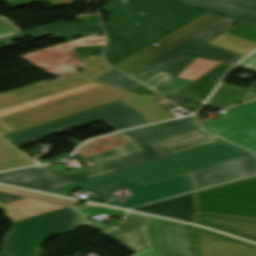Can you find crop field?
I'll return each mask as SVG.
<instances>
[{
    "label": "crop field",
    "instance_id": "crop-field-1",
    "mask_svg": "<svg viewBox=\"0 0 256 256\" xmlns=\"http://www.w3.org/2000/svg\"><path fill=\"white\" fill-rule=\"evenodd\" d=\"M83 65L85 71L53 84L56 88L32 85L0 94V136L134 95L90 81L110 67L102 56Z\"/></svg>",
    "mask_w": 256,
    "mask_h": 256
},
{
    "label": "crop field",
    "instance_id": "crop-field-2",
    "mask_svg": "<svg viewBox=\"0 0 256 256\" xmlns=\"http://www.w3.org/2000/svg\"><path fill=\"white\" fill-rule=\"evenodd\" d=\"M247 154L251 153L220 141L47 192L67 196L77 188L91 191L132 178L148 184Z\"/></svg>",
    "mask_w": 256,
    "mask_h": 256
},
{
    "label": "crop field",
    "instance_id": "crop-field-3",
    "mask_svg": "<svg viewBox=\"0 0 256 256\" xmlns=\"http://www.w3.org/2000/svg\"><path fill=\"white\" fill-rule=\"evenodd\" d=\"M164 156L168 155L151 143L138 147L130 144L87 158L75 153L71 158L90 163L83 169L63 174L52 165H45L1 173L0 182L46 191Z\"/></svg>",
    "mask_w": 256,
    "mask_h": 256
},
{
    "label": "crop field",
    "instance_id": "crop-field-4",
    "mask_svg": "<svg viewBox=\"0 0 256 256\" xmlns=\"http://www.w3.org/2000/svg\"><path fill=\"white\" fill-rule=\"evenodd\" d=\"M238 21L207 13L114 66L143 83Z\"/></svg>",
    "mask_w": 256,
    "mask_h": 256
},
{
    "label": "crop field",
    "instance_id": "crop-field-5",
    "mask_svg": "<svg viewBox=\"0 0 256 256\" xmlns=\"http://www.w3.org/2000/svg\"><path fill=\"white\" fill-rule=\"evenodd\" d=\"M101 121L106 122L117 131L153 123L119 101L4 136V139L16 147L38 138Z\"/></svg>",
    "mask_w": 256,
    "mask_h": 256
},
{
    "label": "crop field",
    "instance_id": "crop-field-6",
    "mask_svg": "<svg viewBox=\"0 0 256 256\" xmlns=\"http://www.w3.org/2000/svg\"><path fill=\"white\" fill-rule=\"evenodd\" d=\"M71 207L13 224L2 253L7 256H41L45 238L76 228Z\"/></svg>",
    "mask_w": 256,
    "mask_h": 256
},
{
    "label": "crop field",
    "instance_id": "crop-field-7",
    "mask_svg": "<svg viewBox=\"0 0 256 256\" xmlns=\"http://www.w3.org/2000/svg\"><path fill=\"white\" fill-rule=\"evenodd\" d=\"M197 211L256 218V176L194 193Z\"/></svg>",
    "mask_w": 256,
    "mask_h": 256
},
{
    "label": "crop field",
    "instance_id": "crop-field-8",
    "mask_svg": "<svg viewBox=\"0 0 256 256\" xmlns=\"http://www.w3.org/2000/svg\"><path fill=\"white\" fill-rule=\"evenodd\" d=\"M102 11L109 16L108 37L132 40L136 52L167 34L121 0H108ZM139 23L137 25L133 23Z\"/></svg>",
    "mask_w": 256,
    "mask_h": 256
},
{
    "label": "crop field",
    "instance_id": "crop-field-9",
    "mask_svg": "<svg viewBox=\"0 0 256 256\" xmlns=\"http://www.w3.org/2000/svg\"><path fill=\"white\" fill-rule=\"evenodd\" d=\"M188 227V224L151 217L143 226L149 251L133 256H193Z\"/></svg>",
    "mask_w": 256,
    "mask_h": 256
},
{
    "label": "crop field",
    "instance_id": "crop-field-10",
    "mask_svg": "<svg viewBox=\"0 0 256 256\" xmlns=\"http://www.w3.org/2000/svg\"><path fill=\"white\" fill-rule=\"evenodd\" d=\"M116 188L126 189L130 192H133L134 194L125 205L112 202L107 203V205L119 206L126 209L140 204L190 192L192 190L188 177L185 174L148 185L132 179L94 190V192L110 200L114 197V195L111 194L115 191Z\"/></svg>",
    "mask_w": 256,
    "mask_h": 256
},
{
    "label": "crop field",
    "instance_id": "crop-field-11",
    "mask_svg": "<svg viewBox=\"0 0 256 256\" xmlns=\"http://www.w3.org/2000/svg\"><path fill=\"white\" fill-rule=\"evenodd\" d=\"M0 192L26 197L8 204L0 202V209L6 214L11 222L78 204V202L72 200L32 193L4 186H0Z\"/></svg>",
    "mask_w": 256,
    "mask_h": 256
},
{
    "label": "crop field",
    "instance_id": "crop-field-12",
    "mask_svg": "<svg viewBox=\"0 0 256 256\" xmlns=\"http://www.w3.org/2000/svg\"><path fill=\"white\" fill-rule=\"evenodd\" d=\"M225 111L224 118L203 123V127L217 137L256 153V124L237 107Z\"/></svg>",
    "mask_w": 256,
    "mask_h": 256
},
{
    "label": "crop field",
    "instance_id": "crop-field-13",
    "mask_svg": "<svg viewBox=\"0 0 256 256\" xmlns=\"http://www.w3.org/2000/svg\"><path fill=\"white\" fill-rule=\"evenodd\" d=\"M189 231L195 256H256V245L198 227Z\"/></svg>",
    "mask_w": 256,
    "mask_h": 256
},
{
    "label": "crop field",
    "instance_id": "crop-field-14",
    "mask_svg": "<svg viewBox=\"0 0 256 256\" xmlns=\"http://www.w3.org/2000/svg\"><path fill=\"white\" fill-rule=\"evenodd\" d=\"M166 32L203 14L165 0H123Z\"/></svg>",
    "mask_w": 256,
    "mask_h": 256
},
{
    "label": "crop field",
    "instance_id": "crop-field-15",
    "mask_svg": "<svg viewBox=\"0 0 256 256\" xmlns=\"http://www.w3.org/2000/svg\"><path fill=\"white\" fill-rule=\"evenodd\" d=\"M193 191L202 187L256 174V155L251 154L238 159L189 172Z\"/></svg>",
    "mask_w": 256,
    "mask_h": 256
},
{
    "label": "crop field",
    "instance_id": "crop-field-16",
    "mask_svg": "<svg viewBox=\"0 0 256 256\" xmlns=\"http://www.w3.org/2000/svg\"><path fill=\"white\" fill-rule=\"evenodd\" d=\"M256 24V0H172Z\"/></svg>",
    "mask_w": 256,
    "mask_h": 256
},
{
    "label": "crop field",
    "instance_id": "crop-field-17",
    "mask_svg": "<svg viewBox=\"0 0 256 256\" xmlns=\"http://www.w3.org/2000/svg\"><path fill=\"white\" fill-rule=\"evenodd\" d=\"M193 223L256 242V219L197 212Z\"/></svg>",
    "mask_w": 256,
    "mask_h": 256
},
{
    "label": "crop field",
    "instance_id": "crop-field-18",
    "mask_svg": "<svg viewBox=\"0 0 256 256\" xmlns=\"http://www.w3.org/2000/svg\"><path fill=\"white\" fill-rule=\"evenodd\" d=\"M149 218V216L145 215L128 213L124 224L107 236L134 253L146 249L148 247L142 226Z\"/></svg>",
    "mask_w": 256,
    "mask_h": 256
},
{
    "label": "crop field",
    "instance_id": "crop-field-19",
    "mask_svg": "<svg viewBox=\"0 0 256 256\" xmlns=\"http://www.w3.org/2000/svg\"><path fill=\"white\" fill-rule=\"evenodd\" d=\"M219 65V64H218ZM232 67V65L221 64L206 74L202 75L189 85L181 89L173 96L204 102L222 76Z\"/></svg>",
    "mask_w": 256,
    "mask_h": 256
},
{
    "label": "crop field",
    "instance_id": "crop-field-20",
    "mask_svg": "<svg viewBox=\"0 0 256 256\" xmlns=\"http://www.w3.org/2000/svg\"><path fill=\"white\" fill-rule=\"evenodd\" d=\"M213 142L216 140L199 128L154 143L173 155Z\"/></svg>",
    "mask_w": 256,
    "mask_h": 256
},
{
    "label": "crop field",
    "instance_id": "crop-field-21",
    "mask_svg": "<svg viewBox=\"0 0 256 256\" xmlns=\"http://www.w3.org/2000/svg\"><path fill=\"white\" fill-rule=\"evenodd\" d=\"M96 20L99 22L98 18H96ZM80 23H81V26H79L75 22H71V23L67 24L66 22L62 21V22L42 26L41 28L46 30L51 35L80 31L77 33L57 35V36L50 37L52 40L64 38L68 42L74 41L75 39L73 37H75V36L86 37V36L101 32V31H96V30H89V31H84V32L81 31L84 29H93V28L102 29L100 22L96 23L95 20H91V21L83 20Z\"/></svg>",
    "mask_w": 256,
    "mask_h": 256
},
{
    "label": "crop field",
    "instance_id": "crop-field-22",
    "mask_svg": "<svg viewBox=\"0 0 256 256\" xmlns=\"http://www.w3.org/2000/svg\"><path fill=\"white\" fill-rule=\"evenodd\" d=\"M73 208L79 214L76 219L75 225L102 230V232L99 233V235H103L106 232H108L109 230H111L121 220H117L115 223H109L107 225H104V224H99V223L92 222V221H86L88 216L94 215L96 213H101V214H109V215L123 218V216L125 214V212L116 210V209H111V208H107V207H86L83 204L73 206Z\"/></svg>",
    "mask_w": 256,
    "mask_h": 256
},
{
    "label": "crop field",
    "instance_id": "crop-field-23",
    "mask_svg": "<svg viewBox=\"0 0 256 256\" xmlns=\"http://www.w3.org/2000/svg\"><path fill=\"white\" fill-rule=\"evenodd\" d=\"M160 96L153 95H134L123 99L126 103L131 105L133 108L152 119L153 121H161L165 119H171L165 111H163L154 100L161 99Z\"/></svg>",
    "mask_w": 256,
    "mask_h": 256
},
{
    "label": "crop field",
    "instance_id": "crop-field-24",
    "mask_svg": "<svg viewBox=\"0 0 256 256\" xmlns=\"http://www.w3.org/2000/svg\"><path fill=\"white\" fill-rule=\"evenodd\" d=\"M194 59L195 57L186 55L143 84L159 93L165 90ZM151 82L156 83V86H150Z\"/></svg>",
    "mask_w": 256,
    "mask_h": 256
},
{
    "label": "crop field",
    "instance_id": "crop-field-25",
    "mask_svg": "<svg viewBox=\"0 0 256 256\" xmlns=\"http://www.w3.org/2000/svg\"><path fill=\"white\" fill-rule=\"evenodd\" d=\"M246 90L247 89L241 87L221 83L214 95L208 101V104L223 108L238 104L242 101Z\"/></svg>",
    "mask_w": 256,
    "mask_h": 256
},
{
    "label": "crop field",
    "instance_id": "crop-field-26",
    "mask_svg": "<svg viewBox=\"0 0 256 256\" xmlns=\"http://www.w3.org/2000/svg\"><path fill=\"white\" fill-rule=\"evenodd\" d=\"M36 164L0 138V171Z\"/></svg>",
    "mask_w": 256,
    "mask_h": 256
},
{
    "label": "crop field",
    "instance_id": "crop-field-27",
    "mask_svg": "<svg viewBox=\"0 0 256 256\" xmlns=\"http://www.w3.org/2000/svg\"><path fill=\"white\" fill-rule=\"evenodd\" d=\"M207 44H211L226 50H230L242 55H247L256 49V43H252L227 34H220Z\"/></svg>",
    "mask_w": 256,
    "mask_h": 256
},
{
    "label": "crop field",
    "instance_id": "crop-field-28",
    "mask_svg": "<svg viewBox=\"0 0 256 256\" xmlns=\"http://www.w3.org/2000/svg\"><path fill=\"white\" fill-rule=\"evenodd\" d=\"M189 55L196 56L199 58H204L208 60H214V61H220V62H225L229 64H235L238 62L240 59H242L245 56L229 52L214 46L210 45H203L197 50L193 51Z\"/></svg>",
    "mask_w": 256,
    "mask_h": 256
},
{
    "label": "crop field",
    "instance_id": "crop-field-29",
    "mask_svg": "<svg viewBox=\"0 0 256 256\" xmlns=\"http://www.w3.org/2000/svg\"><path fill=\"white\" fill-rule=\"evenodd\" d=\"M92 81H96L99 83H103L106 85H110L116 88L124 89V90H132L135 87L141 85L128 76L122 74L114 68H109L97 77L93 78Z\"/></svg>",
    "mask_w": 256,
    "mask_h": 256
},
{
    "label": "crop field",
    "instance_id": "crop-field-30",
    "mask_svg": "<svg viewBox=\"0 0 256 256\" xmlns=\"http://www.w3.org/2000/svg\"><path fill=\"white\" fill-rule=\"evenodd\" d=\"M120 134L123 135L135 146L149 143L153 140H157L163 137H167V135L163 131H161L156 125L129 130L121 132Z\"/></svg>",
    "mask_w": 256,
    "mask_h": 256
},
{
    "label": "crop field",
    "instance_id": "crop-field-31",
    "mask_svg": "<svg viewBox=\"0 0 256 256\" xmlns=\"http://www.w3.org/2000/svg\"><path fill=\"white\" fill-rule=\"evenodd\" d=\"M136 52L131 50V41L108 39L105 52L107 62L116 64Z\"/></svg>",
    "mask_w": 256,
    "mask_h": 256
},
{
    "label": "crop field",
    "instance_id": "crop-field-32",
    "mask_svg": "<svg viewBox=\"0 0 256 256\" xmlns=\"http://www.w3.org/2000/svg\"><path fill=\"white\" fill-rule=\"evenodd\" d=\"M158 126L173 136L184 131L199 128V123L195 117L191 116L181 120L158 124Z\"/></svg>",
    "mask_w": 256,
    "mask_h": 256
},
{
    "label": "crop field",
    "instance_id": "crop-field-33",
    "mask_svg": "<svg viewBox=\"0 0 256 256\" xmlns=\"http://www.w3.org/2000/svg\"><path fill=\"white\" fill-rule=\"evenodd\" d=\"M218 64L220 63L196 58L179 77L194 80Z\"/></svg>",
    "mask_w": 256,
    "mask_h": 256
},
{
    "label": "crop field",
    "instance_id": "crop-field-34",
    "mask_svg": "<svg viewBox=\"0 0 256 256\" xmlns=\"http://www.w3.org/2000/svg\"><path fill=\"white\" fill-rule=\"evenodd\" d=\"M47 35H49L47 32H45L43 29L38 27V28L29 30V31H26V32H23L20 34L0 38V49L15 46L12 42L14 40L22 39V38L29 37V36H32L35 39H39V38L47 36Z\"/></svg>",
    "mask_w": 256,
    "mask_h": 256
},
{
    "label": "crop field",
    "instance_id": "crop-field-35",
    "mask_svg": "<svg viewBox=\"0 0 256 256\" xmlns=\"http://www.w3.org/2000/svg\"><path fill=\"white\" fill-rule=\"evenodd\" d=\"M224 33L256 42V26L250 24L240 22Z\"/></svg>",
    "mask_w": 256,
    "mask_h": 256
},
{
    "label": "crop field",
    "instance_id": "crop-field-36",
    "mask_svg": "<svg viewBox=\"0 0 256 256\" xmlns=\"http://www.w3.org/2000/svg\"><path fill=\"white\" fill-rule=\"evenodd\" d=\"M23 30L12 25V22L0 16V37L22 32Z\"/></svg>",
    "mask_w": 256,
    "mask_h": 256
},
{
    "label": "crop field",
    "instance_id": "crop-field-37",
    "mask_svg": "<svg viewBox=\"0 0 256 256\" xmlns=\"http://www.w3.org/2000/svg\"><path fill=\"white\" fill-rule=\"evenodd\" d=\"M190 82L191 80L177 78L164 92L160 94L167 97L169 95L176 93L178 90H180Z\"/></svg>",
    "mask_w": 256,
    "mask_h": 256
},
{
    "label": "crop field",
    "instance_id": "crop-field-38",
    "mask_svg": "<svg viewBox=\"0 0 256 256\" xmlns=\"http://www.w3.org/2000/svg\"><path fill=\"white\" fill-rule=\"evenodd\" d=\"M240 109L256 123V102H251L239 106Z\"/></svg>",
    "mask_w": 256,
    "mask_h": 256
},
{
    "label": "crop field",
    "instance_id": "crop-field-39",
    "mask_svg": "<svg viewBox=\"0 0 256 256\" xmlns=\"http://www.w3.org/2000/svg\"><path fill=\"white\" fill-rule=\"evenodd\" d=\"M239 66L247 67L256 70V52L246 58Z\"/></svg>",
    "mask_w": 256,
    "mask_h": 256
},
{
    "label": "crop field",
    "instance_id": "crop-field-40",
    "mask_svg": "<svg viewBox=\"0 0 256 256\" xmlns=\"http://www.w3.org/2000/svg\"><path fill=\"white\" fill-rule=\"evenodd\" d=\"M40 1L42 0H9V1H6V3L16 8V7H20V6L40 2Z\"/></svg>",
    "mask_w": 256,
    "mask_h": 256
},
{
    "label": "crop field",
    "instance_id": "crop-field-41",
    "mask_svg": "<svg viewBox=\"0 0 256 256\" xmlns=\"http://www.w3.org/2000/svg\"><path fill=\"white\" fill-rule=\"evenodd\" d=\"M256 99V82L249 86L246 96L244 97L243 102Z\"/></svg>",
    "mask_w": 256,
    "mask_h": 256
},
{
    "label": "crop field",
    "instance_id": "crop-field-42",
    "mask_svg": "<svg viewBox=\"0 0 256 256\" xmlns=\"http://www.w3.org/2000/svg\"><path fill=\"white\" fill-rule=\"evenodd\" d=\"M19 198H22V197H17V196L0 193V201L1 202H8V201H12V200L19 199Z\"/></svg>",
    "mask_w": 256,
    "mask_h": 256
},
{
    "label": "crop field",
    "instance_id": "crop-field-43",
    "mask_svg": "<svg viewBox=\"0 0 256 256\" xmlns=\"http://www.w3.org/2000/svg\"><path fill=\"white\" fill-rule=\"evenodd\" d=\"M47 88H51V87H53V85L52 84H48V85H45Z\"/></svg>",
    "mask_w": 256,
    "mask_h": 256
},
{
    "label": "crop field",
    "instance_id": "crop-field-44",
    "mask_svg": "<svg viewBox=\"0 0 256 256\" xmlns=\"http://www.w3.org/2000/svg\"><path fill=\"white\" fill-rule=\"evenodd\" d=\"M85 205H87V206H95V205H91V204H86V203H85Z\"/></svg>",
    "mask_w": 256,
    "mask_h": 256
},
{
    "label": "crop field",
    "instance_id": "crop-field-45",
    "mask_svg": "<svg viewBox=\"0 0 256 256\" xmlns=\"http://www.w3.org/2000/svg\"><path fill=\"white\" fill-rule=\"evenodd\" d=\"M0 256H5L4 254L0 253Z\"/></svg>",
    "mask_w": 256,
    "mask_h": 256
}]
</instances>
